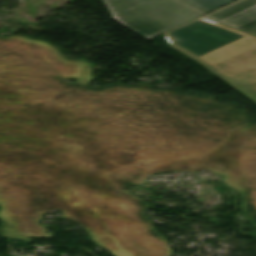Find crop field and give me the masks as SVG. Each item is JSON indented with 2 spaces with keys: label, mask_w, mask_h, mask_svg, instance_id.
<instances>
[{
  "label": "crop field",
  "mask_w": 256,
  "mask_h": 256,
  "mask_svg": "<svg viewBox=\"0 0 256 256\" xmlns=\"http://www.w3.org/2000/svg\"><path fill=\"white\" fill-rule=\"evenodd\" d=\"M199 20L205 21L207 23L222 27L224 29L236 32L238 34L256 40V37L253 35L237 31L227 26L210 21L208 19L201 18ZM163 36L172 45L173 48L181 51L188 57L201 63L211 72L220 76L231 86H233L239 92H241L250 100L256 103V46L212 66L206 61L202 60L201 58L180 48L177 44L173 42L168 33Z\"/></svg>",
  "instance_id": "crop-field-3"
},
{
  "label": "crop field",
  "mask_w": 256,
  "mask_h": 256,
  "mask_svg": "<svg viewBox=\"0 0 256 256\" xmlns=\"http://www.w3.org/2000/svg\"><path fill=\"white\" fill-rule=\"evenodd\" d=\"M175 43L214 65L256 45V41L196 20L169 32Z\"/></svg>",
  "instance_id": "crop-field-2"
},
{
  "label": "crop field",
  "mask_w": 256,
  "mask_h": 256,
  "mask_svg": "<svg viewBox=\"0 0 256 256\" xmlns=\"http://www.w3.org/2000/svg\"><path fill=\"white\" fill-rule=\"evenodd\" d=\"M206 18L256 35V0H242Z\"/></svg>",
  "instance_id": "crop-field-4"
},
{
  "label": "crop field",
  "mask_w": 256,
  "mask_h": 256,
  "mask_svg": "<svg viewBox=\"0 0 256 256\" xmlns=\"http://www.w3.org/2000/svg\"><path fill=\"white\" fill-rule=\"evenodd\" d=\"M187 2H190L208 12L221 7L233 0H185ZM234 2V1H233Z\"/></svg>",
  "instance_id": "crop-field-5"
},
{
  "label": "crop field",
  "mask_w": 256,
  "mask_h": 256,
  "mask_svg": "<svg viewBox=\"0 0 256 256\" xmlns=\"http://www.w3.org/2000/svg\"><path fill=\"white\" fill-rule=\"evenodd\" d=\"M112 19L150 40L204 14L182 0H103Z\"/></svg>",
  "instance_id": "crop-field-1"
}]
</instances>
